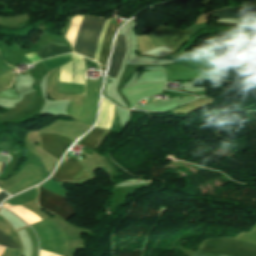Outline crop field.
I'll return each mask as SVG.
<instances>
[{"label":"crop field","instance_id":"8a807250","mask_svg":"<svg viewBox=\"0 0 256 256\" xmlns=\"http://www.w3.org/2000/svg\"><path fill=\"white\" fill-rule=\"evenodd\" d=\"M104 21L105 20L102 19L85 16L73 52L83 55L87 58L94 59L98 37L101 33ZM118 27L119 26L111 22L109 23L98 61V63L101 65V71H105L108 55L110 52L109 41L113 32L116 31Z\"/></svg>","mask_w":256,"mask_h":256},{"label":"crop field","instance_id":"ac0d7876","mask_svg":"<svg viewBox=\"0 0 256 256\" xmlns=\"http://www.w3.org/2000/svg\"><path fill=\"white\" fill-rule=\"evenodd\" d=\"M256 256V246L233 238L206 239L193 256Z\"/></svg>","mask_w":256,"mask_h":256},{"label":"crop field","instance_id":"34b2d1b8","mask_svg":"<svg viewBox=\"0 0 256 256\" xmlns=\"http://www.w3.org/2000/svg\"><path fill=\"white\" fill-rule=\"evenodd\" d=\"M211 55L216 59L221 76L218 79L228 80L231 82L256 80V68L245 64L233 63Z\"/></svg>","mask_w":256,"mask_h":256},{"label":"crop field","instance_id":"412701ff","mask_svg":"<svg viewBox=\"0 0 256 256\" xmlns=\"http://www.w3.org/2000/svg\"><path fill=\"white\" fill-rule=\"evenodd\" d=\"M39 206L56 213L64 220H68L75 215L72 206L66 202V197L50 192L39 186Z\"/></svg>","mask_w":256,"mask_h":256},{"label":"crop field","instance_id":"f4fd0767","mask_svg":"<svg viewBox=\"0 0 256 256\" xmlns=\"http://www.w3.org/2000/svg\"><path fill=\"white\" fill-rule=\"evenodd\" d=\"M68 157L66 158V160ZM65 160V161H66ZM72 158H69L52 176V178L58 181H75L86 176L89 174L83 169V167L78 163L76 159L75 161L71 162Z\"/></svg>","mask_w":256,"mask_h":256},{"label":"crop field","instance_id":"dd49c442","mask_svg":"<svg viewBox=\"0 0 256 256\" xmlns=\"http://www.w3.org/2000/svg\"><path fill=\"white\" fill-rule=\"evenodd\" d=\"M41 138L43 149L50 152L59 161L69 143V139L55 133H43Z\"/></svg>","mask_w":256,"mask_h":256},{"label":"crop field","instance_id":"e52e79f7","mask_svg":"<svg viewBox=\"0 0 256 256\" xmlns=\"http://www.w3.org/2000/svg\"><path fill=\"white\" fill-rule=\"evenodd\" d=\"M125 50L126 46L124 37L117 35L107 75L116 77L121 66Z\"/></svg>","mask_w":256,"mask_h":256},{"label":"crop field","instance_id":"d8731c3e","mask_svg":"<svg viewBox=\"0 0 256 256\" xmlns=\"http://www.w3.org/2000/svg\"><path fill=\"white\" fill-rule=\"evenodd\" d=\"M68 52H70L68 46H59V45L48 43L45 46H43L41 50L36 52V54L39 55L42 59H45L53 55L68 53ZM32 55L38 61H40V59L38 58L39 56L37 57L34 53H32ZM32 55L29 54V55H26L25 57L33 64L37 62V60Z\"/></svg>","mask_w":256,"mask_h":256},{"label":"crop field","instance_id":"5a996713","mask_svg":"<svg viewBox=\"0 0 256 256\" xmlns=\"http://www.w3.org/2000/svg\"><path fill=\"white\" fill-rule=\"evenodd\" d=\"M212 15L219 18H250L256 17L255 8H229L212 12Z\"/></svg>","mask_w":256,"mask_h":256},{"label":"crop field","instance_id":"3316defc","mask_svg":"<svg viewBox=\"0 0 256 256\" xmlns=\"http://www.w3.org/2000/svg\"><path fill=\"white\" fill-rule=\"evenodd\" d=\"M102 132V130L94 128V130L89 134V136L82 140L81 143L93 148L99 140Z\"/></svg>","mask_w":256,"mask_h":256},{"label":"crop field","instance_id":"28ad6ade","mask_svg":"<svg viewBox=\"0 0 256 256\" xmlns=\"http://www.w3.org/2000/svg\"><path fill=\"white\" fill-rule=\"evenodd\" d=\"M193 87H205V86H212V85H221L226 84L225 81H218V80H194Z\"/></svg>","mask_w":256,"mask_h":256},{"label":"crop field","instance_id":"d1516ede","mask_svg":"<svg viewBox=\"0 0 256 256\" xmlns=\"http://www.w3.org/2000/svg\"><path fill=\"white\" fill-rule=\"evenodd\" d=\"M252 46H237V49L256 53V33L247 35Z\"/></svg>","mask_w":256,"mask_h":256},{"label":"crop field","instance_id":"22f410ed","mask_svg":"<svg viewBox=\"0 0 256 256\" xmlns=\"http://www.w3.org/2000/svg\"><path fill=\"white\" fill-rule=\"evenodd\" d=\"M0 245L12 247L19 250V245L15 243L13 240L9 239L7 236H5L1 231H0Z\"/></svg>","mask_w":256,"mask_h":256},{"label":"crop field","instance_id":"cbeb9de0","mask_svg":"<svg viewBox=\"0 0 256 256\" xmlns=\"http://www.w3.org/2000/svg\"><path fill=\"white\" fill-rule=\"evenodd\" d=\"M0 98H13L17 99V94L14 90L5 91L3 93H0Z\"/></svg>","mask_w":256,"mask_h":256},{"label":"crop field","instance_id":"5142ce71","mask_svg":"<svg viewBox=\"0 0 256 256\" xmlns=\"http://www.w3.org/2000/svg\"><path fill=\"white\" fill-rule=\"evenodd\" d=\"M8 195H6L3 191L0 192V201L2 199H4L5 197H7Z\"/></svg>","mask_w":256,"mask_h":256},{"label":"crop field","instance_id":"d9b57169","mask_svg":"<svg viewBox=\"0 0 256 256\" xmlns=\"http://www.w3.org/2000/svg\"><path fill=\"white\" fill-rule=\"evenodd\" d=\"M3 166V164L2 163H0V169H1V167Z\"/></svg>","mask_w":256,"mask_h":256},{"label":"crop field","instance_id":"733c2abd","mask_svg":"<svg viewBox=\"0 0 256 256\" xmlns=\"http://www.w3.org/2000/svg\"><path fill=\"white\" fill-rule=\"evenodd\" d=\"M97 95H98V90H97Z\"/></svg>","mask_w":256,"mask_h":256}]
</instances>
